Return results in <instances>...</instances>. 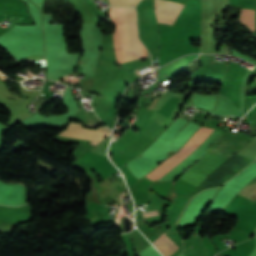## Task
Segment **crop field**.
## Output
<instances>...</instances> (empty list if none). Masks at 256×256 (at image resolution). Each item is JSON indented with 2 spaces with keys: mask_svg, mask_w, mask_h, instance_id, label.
Segmentation results:
<instances>
[{
  "mask_svg": "<svg viewBox=\"0 0 256 256\" xmlns=\"http://www.w3.org/2000/svg\"><path fill=\"white\" fill-rule=\"evenodd\" d=\"M254 19H255L254 10H251V9L240 10L239 20L241 23L247 25L250 31H254Z\"/></svg>",
  "mask_w": 256,
  "mask_h": 256,
  "instance_id": "crop-field-6",
  "label": "crop field"
},
{
  "mask_svg": "<svg viewBox=\"0 0 256 256\" xmlns=\"http://www.w3.org/2000/svg\"><path fill=\"white\" fill-rule=\"evenodd\" d=\"M156 214H158L157 211H152V212L143 213L142 215H143V217H146V216H151V215H156Z\"/></svg>",
  "mask_w": 256,
  "mask_h": 256,
  "instance_id": "crop-field-9",
  "label": "crop field"
},
{
  "mask_svg": "<svg viewBox=\"0 0 256 256\" xmlns=\"http://www.w3.org/2000/svg\"><path fill=\"white\" fill-rule=\"evenodd\" d=\"M204 129L205 128L201 127L195 133V135L178 152H176L170 158H168L163 163H161L154 171L147 174L146 177L152 178L154 175H156L158 172H160L162 169H164L166 166H168L170 163H172L174 160H176L178 157H180L186 151H188L190 149V147L193 145V143L197 140V138L204 131ZM211 131H213V130L206 128L205 131L202 133V135L198 138V140L194 143V145L191 147V149L188 152H186L184 155H182L180 158H178L176 161H174L172 164H170L168 167H166L164 170H162L156 176H154L151 180L161 178L166 173H168L170 170H172L174 167H176L178 164H180L182 161H184L186 158H188L190 155H192Z\"/></svg>",
  "mask_w": 256,
  "mask_h": 256,
  "instance_id": "crop-field-2",
  "label": "crop field"
},
{
  "mask_svg": "<svg viewBox=\"0 0 256 256\" xmlns=\"http://www.w3.org/2000/svg\"><path fill=\"white\" fill-rule=\"evenodd\" d=\"M199 127L200 126L195 125V124H193L191 122H189V124L186 126V128H189V129H192V130H195V131H197L199 129Z\"/></svg>",
  "mask_w": 256,
  "mask_h": 256,
  "instance_id": "crop-field-8",
  "label": "crop field"
},
{
  "mask_svg": "<svg viewBox=\"0 0 256 256\" xmlns=\"http://www.w3.org/2000/svg\"><path fill=\"white\" fill-rule=\"evenodd\" d=\"M110 1L137 4V2L139 0H110ZM114 2H111V4L123 5V6H135V5H132V4H123V3H114Z\"/></svg>",
  "mask_w": 256,
  "mask_h": 256,
  "instance_id": "crop-field-7",
  "label": "crop field"
},
{
  "mask_svg": "<svg viewBox=\"0 0 256 256\" xmlns=\"http://www.w3.org/2000/svg\"><path fill=\"white\" fill-rule=\"evenodd\" d=\"M164 234V233H163ZM162 234V235H163ZM161 235V236H162ZM160 236V237H161ZM159 237V238H160ZM156 241V240H155ZM154 241V242H155ZM153 242V243H154ZM152 243V244H153ZM164 256H170L172 255L176 250H178V246L171 241L165 234L159 239L157 240L154 244H153Z\"/></svg>",
  "mask_w": 256,
  "mask_h": 256,
  "instance_id": "crop-field-5",
  "label": "crop field"
},
{
  "mask_svg": "<svg viewBox=\"0 0 256 256\" xmlns=\"http://www.w3.org/2000/svg\"><path fill=\"white\" fill-rule=\"evenodd\" d=\"M180 13V4L156 0L157 22L172 25Z\"/></svg>",
  "mask_w": 256,
  "mask_h": 256,
  "instance_id": "crop-field-4",
  "label": "crop field"
},
{
  "mask_svg": "<svg viewBox=\"0 0 256 256\" xmlns=\"http://www.w3.org/2000/svg\"><path fill=\"white\" fill-rule=\"evenodd\" d=\"M93 130H95V129H93ZM110 133H111V131L108 130L106 127H102L95 131H92V130H88V129L80 127V124H78V123L70 122L68 128L65 129L59 135L100 142L105 137L110 135Z\"/></svg>",
  "mask_w": 256,
  "mask_h": 256,
  "instance_id": "crop-field-3",
  "label": "crop field"
},
{
  "mask_svg": "<svg viewBox=\"0 0 256 256\" xmlns=\"http://www.w3.org/2000/svg\"><path fill=\"white\" fill-rule=\"evenodd\" d=\"M116 9L118 12V22H119V28L121 31V42H122L124 61L126 62L131 60V53H132V60L141 59L143 58V56L144 58H146L147 56L149 57V54L147 51H146L147 52V56H146L145 49L141 44L142 52H143V56H142L139 39L137 38L135 10L132 8L125 7L126 18H127V23L129 27L130 42H131V53H130V43H129V36H128V28H127V23L125 18V9L124 7H116Z\"/></svg>",
  "mask_w": 256,
  "mask_h": 256,
  "instance_id": "crop-field-1",
  "label": "crop field"
}]
</instances>
